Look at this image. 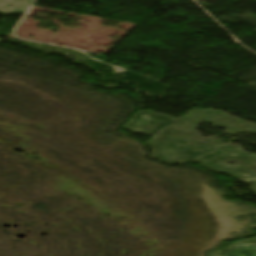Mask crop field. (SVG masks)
<instances>
[{
  "label": "crop field",
  "instance_id": "obj_1",
  "mask_svg": "<svg viewBox=\"0 0 256 256\" xmlns=\"http://www.w3.org/2000/svg\"><path fill=\"white\" fill-rule=\"evenodd\" d=\"M1 40V39H0Z\"/></svg>",
  "mask_w": 256,
  "mask_h": 256
}]
</instances>
